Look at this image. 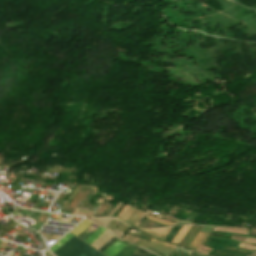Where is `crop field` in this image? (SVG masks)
Returning a JSON list of instances; mask_svg holds the SVG:
<instances>
[{"label":"crop field","mask_w":256,"mask_h":256,"mask_svg":"<svg viewBox=\"0 0 256 256\" xmlns=\"http://www.w3.org/2000/svg\"><path fill=\"white\" fill-rule=\"evenodd\" d=\"M53 254L55 256H104L75 236Z\"/></svg>","instance_id":"8a807250"},{"label":"crop field","mask_w":256,"mask_h":256,"mask_svg":"<svg viewBox=\"0 0 256 256\" xmlns=\"http://www.w3.org/2000/svg\"><path fill=\"white\" fill-rule=\"evenodd\" d=\"M136 244L145 246L147 248L154 249L166 256H168L172 252V250L176 247V245L161 242L154 238H152V240L150 242L138 238Z\"/></svg>","instance_id":"ac0d7876"},{"label":"crop field","mask_w":256,"mask_h":256,"mask_svg":"<svg viewBox=\"0 0 256 256\" xmlns=\"http://www.w3.org/2000/svg\"><path fill=\"white\" fill-rule=\"evenodd\" d=\"M126 243L121 241H116L113 243L107 250H105L103 253H105L107 256H113L116 254L122 247H124ZM104 254V255H105Z\"/></svg>","instance_id":"34b2d1b8"},{"label":"crop field","mask_w":256,"mask_h":256,"mask_svg":"<svg viewBox=\"0 0 256 256\" xmlns=\"http://www.w3.org/2000/svg\"><path fill=\"white\" fill-rule=\"evenodd\" d=\"M105 233V232H104ZM103 233V234H104ZM114 235H112L110 232H106L104 235H102L96 242H94L91 246L95 249H99L101 246H103L109 239H111Z\"/></svg>","instance_id":"412701ff"},{"label":"crop field","mask_w":256,"mask_h":256,"mask_svg":"<svg viewBox=\"0 0 256 256\" xmlns=\"http://www.w3.org/2000/svg\"><path fill=\"white\" fill-rule=\"evenodd\" d=\"M171 227L169 228H161V229H154V230H144L162 240H164V238L166 237V235L168 234V232L170 231Z\"/></svg>","instance_id":"f4fd0767"},{"label":"crop field","mask_w":256,"mask_h":256,"mask_svg":"<svg viewBox=\"0 0 256 256\" xmlns=\"http://www.w3.org/2000/svg\"><path fill=\"white\" fill-rule=\"evenodd\" d=\"M135 211L134 208H131L129 206H125V208L120 212V214L117 216V219L126 222L128 218L133 214Z\"/></svg>","instance_id":"dd49c442"},{"label":"crop field","mask_w":256,"mask_h":256,"mask_svg":"<svg viewBox=\"0 0 256 256\" xmlns=\"http://www.w3.org/2000/svg\"><path fill=\"white\" fill-rule=\"evenodd\" d=\"M93 222L84 219L79 225H77L72 231L71 233L75 234V235H79L80 233H82L88 226H90Z\"/></svg>","instance_id":"e52e79f7"},{"label":"crop field","mask_w":256,"mask_h":256,"mask_svg":"<svg viewBox=\"0 0 256 256\" xmlns=\"http://www.w3.org/2000/svg\"><path fill=\"white\" fill-rule=\"evenodd\" d=\"M138 248L127 244L114 256H131Z\"/></svg>","instance_id":"d8731c3e"},{"label":"crop field","mask_w":256,"mask_h":256,"mask_svg":"<svg viewBox=\"0 0 256 256\" xmlns=\"http://www.w3.org/2000/svg\"><path fill=\"white\" fill-rule=\"evenodd\" d=\"M107 230L100 227L97 231H95L89 238H87L84 242L88 244H92L95 240H97L104 232Z\"/></svg>","instance_id":"5a996713"},{"label":"crop field","mask_w":256,"mask_h":256,"mask_svg":"<svg viewBox=\"0 0 256 256\" xmlns=\"http://www.w3.org/2000/svg\"><path fill=\"white\" fill-rule=\"evenodd\" d=\"M74 235L68 233L65 235L62 239H60L58 242H56L53 246L50 247L51 252L53 253L56 251L60 246H62L65 242H67L71 237Z\"/></svg>","instance_id":"3316defc"},{"label":"crop field","mask_w":256,"mask_h":256,"mask_svg":"<svg viewBox=\"0 0 256 256\" xmlns=\"http://www.w3.org/2000/svg\"><path fill=\"white\" fill-rule=\"evenodd\" d=\"M191 226H183L181 229L178 231L174 239L172 240V243L178 244L179 241L182 239V237L186 234V232L189 230Z\"/></svg>","instance_id":"28ad6ade"},{"label":"crop field","mask_w":256,"mask_h":256,"mask_svg":"<svg viewBox=\"0 0 256 256\" xmlns=\"http://www.w3.org/2000/svg\"><path fill=\"white\" fill-rule=\"evenodd\" d=\"M198 235V234H197ZM206 234L199 233V235L196 237V239L193 241V243L190 245L191 248H195L198 250L204 239L206 238Z\"/></svg>","instance_id":"d1516ede"},{"label":"crop field","mask_w":256,"mask_h":256,"mask_svg":"<svg viewBox=\"0 0 256 256\" xmlns=\"http://www.w3.org/2000/svg\"><path fill=\"white\" fill-rule=\"evenodd\" d=\"M146 218H148L150 220H153V221H156L158 223L164 224L166 226H170V225L174 224V222H170V221H167V220H164V219H160V218H157V217H153V216H149V215H147Z\"/></svg>","instance_id":"22f410ed"},{"label":"crop field","mask_w":256,"mask_h":256,"mask_svg":"<svg viewBox=\"0 0 256 256\" xmlns=\"http://www.w3.org/2000/svg\"><path fill=\"white\" fill-rule=\"evenodd\" d=\"M91 220L106 227L112 219L92 218Z\"/></svg>","instance_id":"cbeb9de0"},{"label":"crop field","mask_w":256,"mask_h":256,"mask_svg":"<svg viewBox=\"0 0 256 256\" xmlns=\"http://www.w3.org/2000/svg\"><path fill=\"white\" fill-rule=\"evenodd\" d=\"M180 229V227H173L172 231L169 233V235L166 237L165 241L171 242L177 231Z\"/></svg>","instance_id":"5142ce71"},{"label":"crop field","mask_w":256,"mask_h":256,"mask_svg":"<svg viewBox=\"0 0 256 256\" xmlns=\"http://www.w3.org/2000/svg\"><path fill=\"white\" fill-rule=\"evenodd\" d=\"M152 253L140 248L137 252H135L132 256H150Z\"/></svg>","instance_id":"d9b57169"},{"label":"crop field","mask_w":256,"mask_h":256,"mask_svg":"<svg viewBox=\"0 0 256 256\" xmlns=\"http://www.w3.org/2000/svg\"><path fill=\"white\" fill-rule=\"evenodd\" d=\"M117 239L113 237L111 240H109L103 247L99 249V251L103 252L105 249H107L113 242H115Z\"/></svg>","instance_id":"733c2abd"},{"label":"crop field","mask_w":256,"mask_h":256,"mask_svg":"<svg viewBox=\"0 0 256 256\" xmlns=\"http://www.w3.org/2000/svg\"><path fill=\"white\" fill-rule=\"evenodd\" d=\"M239 247L244 248V249H248V250H251V251L256 250V246H252V245L245 244V243H241Z\"/></svg>","instance_id":"4a817a6b"},{"label":"crop field","mask_w":256,"mask_h":256,"mask_svg":"<svg viewBox=\"0 0 256 256\" xmlns=\"http://www.w3.org/2000/svg\"><path fill=\"white\" fill-rule=\"evenodd\" d=\"M139 213H140V211L136 210L134 212V214L132 215V217L127 221V224L131 225L133 223V221L136 219V217L138 216Z\"/></svg>","instance_id":"bc2a9ffb"},{"label":"crop field","mask_w":256,"mask_h":256,"mask_svg":"<svg viewBox=\"0 0 256 256\" xmlns=\"http://www.w3.org/2000/svg\"><path fill=\"white\" fill-rule=\"evenodd\" d=\"M119 223L120 222L113 220L106 228L112 231Z\"/></svg>","instance_id":"214f88e0"},{"label":"crop field","mask_w":256,"mask_h":256,"mask_svg":"<svg viewBox=\"0 0 256 256\" xmlns=\"http://www.w3.org/2000/svg\"><path fill=\"white\" fill-rule=\"evenodd\" d=\"M191 228H192V227H191ZM195 228H196V226H193V228L190 230V232H189V231H188L189 233L187 232V233H188L187 236L185 235L186 237L184 236V237H185L184 240L182 239V240H183V241L181 242L182 245H184V243H185L186 240L189 238V236L191 235V233L193 232V230H194Z\"/></svg>","instance_id":"92a150f3"},{"label":"crop field","mask_w":256,"mask_h":256,"mask_svg":"<svg viewBox=\"0 0 256 256\" xmlns=\"http://www.w3.org/2000/svg\"><path fill=\"white\" fill-rule=\"evenodd\" d=\"M143 215H144V212L141 211V213H140L139 216L137 217L136 221L132 224V226H136V225L139 223V221H140V219H141V217H142Z\"/></svg>","instance_id":"dafd665d"},{"label":"crop field","mask_w":256,"mask_h":256,"mask_svg":"<svg viewBox=\"0 0 256 256\" xmlns=\"http://www.w3.org/2000/svg\"><path fill=\"white\" fill-rule=\"evenodd\" d=\"M112 232H113L116 236H118V237H120V238L124 235L123 232H121V231H119V230H117V229L113 230Z\"/></svg>","instance_id":"00972430"},{"label":"crop field","mask_w":256,"mask_h":256,"mask_svg":"<svg viewBox=\"0 0 256 256\" xmlns=\"http://www.w3.org/2000/svg\"><path fill=\"white\" fill-rule=\"evenodd\" d=\"M246 243L256 244V238H250V237H248L247 240H246Z\"/></svg>","instance_id":"a9b5d70f"},{"label":"crop field","mask_w":256,"mask_h":256,"mask_svg":"<svg viewBox=\"0 0 256 256\" xmlns=\"http://www.w3.org/2000/svg\"><path fill=\"white\" fill-rule=\"evenodd\" d=\"M189 255H191V256H205V255H202V254H200L198 252H195L193 250L190 251Z\"/></svg>","instance_id":"4177f3b9"},{"label":"crop field","mask_w":256,"mask_h":256,"mask_svg":"<svg viewBox=\"0 0 256 256\" xmlns=\"http://www.w3.org/2000/svg\"><path fill=\"white\" fill-rule=\"evenodd\" d=\"M118 228H120V229L125 231V230L129 229L130 227H128V226H126V225L121 223V225Z\"/></svg>","instance_id":"730fd06b"},{"label":"crop field","mask_w":256,"mask_h":256,"mask_svg":"<svg viewBox=\"0 0 256 256\" xmlns=\"http://www.w3.org/2000/svg\"><path fill=\"white\" fill-rule=\"evenodd\" d=\"M249 235L256 236V230L251 229Z\"/></svg>","instance_id":"eef30255"},{"label":"crop field","mask_w":256,"mask_h":256,"mask_svg":"<svg viewBox=\"0 0 256 256\" xmlns=\"http://www.w3.org/2000/svg\"><path fill=\"white\" fill-rule=\"evenodd\" d=\"M204 228H208V227H205V226H204ZM204 228L202 229V231H203V232H206V233H208V234H209V233L211 232V230H212V228H208V229H211V230H207V229H204Z\"/></svg>","instance_id":"ae1a2a85"},{"label":"crop field","mask_w":256,"mask_h":256,"mask_svg":"<svg viewBox=\"0 0 256 256\" xmlns=\"http://www.w3.org/2000/svg\"><path fill=\"white\" fill-rule=\"evenodd\" d=\"M251 256H256V251H255V253H254L253 255H251Z\"/></svg>","instance_id":"d3111659"},{"label":"crop field","mask_w":256,"mask_h":256,"mask_svg":"<svg viewBox=\"0 0 256 256\" xmlns=\"http://www.w3.org/2000/svg\"><path fill=\"white\" fill-rule=\"evenodd\" d=\"M151 256H156V255L152 254Z\"/></svg>","instance_id":"750c4746"},{"label":"crop field","mask_w":256,"mask_h":256,"mask_svg":"<svg viewBox=\"0 0 256 256\" xmlns=\"http://www.w3.org/2000/svg\"><path fill=\"white\" fill-rule=\"evenodd\" d=\"M1 242H2V241L0 240V244H1Z\"/></svg>","instance_id":"bd1437ed"}]
</instances>
